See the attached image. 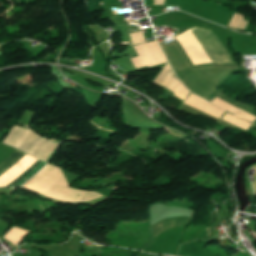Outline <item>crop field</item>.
Wrapping results in <instances>:
<instances>
[{
    "mask_svg": "<svg viewBox=\"0 0 256 256\" xmlns=\"http://www.w3.org/2000/svg\"><path fill=\"white\" fill-rule=\"evenodd\" d=\"M13 227H14V226H13ZM13 227H11V228H13ZM11 228H10V229H11ZM16 228H17V227H16ZM10 229H9V230H10ZM20 229H21V228H20ZM9 230H8V231H9ZM8 231H7V232H8Z\"/></svg>",
    "mask_w": 256,
    "mask_h": 256,
    "instance_id": "obj_10",
    "label": "crop field"
},
{
    "mask_svg": "<svg viewBox=\"0 0 256 256\" xmlns=\"http://www.w3.org/2000/svg\"><path fill=\"white\" fill-rule=\"evenodd\" d=\"M24 153L15 150L11 153L6 159H4L0 163V175L6 171L10 166L14 165L19 159L23 157ZM45 164L40 160H38L35 164H33L27 171H25L20 177L13 180L6 187H17L24 182H26L29 178H31L35 173H37Z\"/></svg>",
    "mask_w": 256,
    "mask_h": 256,
    "instance_id": "obj_4",
    "label": "crop field"
},
{
    "mask_svg": "<svg viewBox=\"0 0 256 256\" xmlns=\"http://www.w3.org/2000/svg\"><path fill=\"white\" fill-rule=\"evenodd\" d=\"M59 144H57V146L55 147V149L53 150V152L51 153V155L49 156V158L47 159V162L49 161V159L52 157V155L54 154V152L56 151V149L58 148Z\"/></svg>",
    "mask_w": 256,
    "mask_h": 256,
    "instance_id": "obj_9",
    "label": "crop field"
},
{
    "mask_svg": "<svg viewBox=\"0 0 256 256\" xmlns=\"http://www.w3.org/2000/svg\"><path fill=\"white\" fill-rule=\"evenodd\" d=\"M164 0H155L154 5H163Z\"/></svg>",
    "mask_w": 256,
    "mask_h": 256,
    "instance_id": "obj_8",
    "label": "crop field"
},
{
    "mask_svg": "<svg viewBox=\"0 0 256 256\" xmlns=\"http://www.w3.org/2000/svg\"><path fill=\"white\" fill-rule=\"evenodd\" d=\"M184 103H186V104H188V105H190L208 115L214 116L219 119H224V120L242 128L246 131H248V129L252 126L251 124H249L247 122L241 121L240 119L217 109L216 107L210 105L208 102H205L203 99L198 98L191 93H189V95L185 99Z\"/></svg>",
    "mask_w": 256,
    "mask_h": 256,
    "instance_id": "obj_3",
    "label": "crop field"
},
{
    "mask_svg": "<svg viewBox=\"0 0 256 256\" xmlns=\"http://www.w3.org/2000/svg\"><path fill=\"white\" fill-rule=\"evenodd\" d=\"M172 73L173 72L167 63L153 83L168 89L174 93V96L183 100L189 91Z\"/></svg>",
    "mask_w": 256,
    "mask_h": 256,
    "instance_id": "obj_5",
    "label": "crop field"
},
{
    "mask_svg": "<svg viewBox=\"0 0 256 256\" xmlns=\"http://www.w3.org/2000/svg\"><path fill=\"white\" fill-rule=\"evenodd\" d=\"M211 103L219 106L220 108H222L224 110H228V111L232 112L233 115L238 116L240 118H243V119H246V120H249V121H252V122L256 119V117H254V116L248 114L247 112H245V111H243L241 109H238V108H236V107H234V106H232V105L222 101L221 99H219L217 97L214 98L211 101Z\"/></svg>",
    "mask_w": 256,
    "mask_h": 256,
    "instance_id": "obj_6",
    "label": "crop field"
},
{
    "mask_svg": "<svg viewBox=\"0 0 256 256\" xmlns=\"http://www.w3.org/2000/svg\"><path fill=\"white\" fill-rule=\"evenodd\" d=\"M4 143L17 149L36 156L44 161L48 158L55 143L44 141L34 135L29 130L14 126Z\"/></svg>",
    "mask_w": 256,
    "mask_h": 256,
    "instance_id": "obj_1",
    "label": "crop field"
},
{
    "mask_svg": "<svg viewBox=\"0 0 256 256\" xmlns=\"http://www.w3.org/2000/svg\"><path fill=\"white\" fill-rule=\"evenodd\" d=\"M244 16L239 14H234L229 26L238 28V29H244L247 22L243 21Z\"/></svg>",
    "mask_w": 256,
    "mask_h": 256,
    "instance_id": "obj_7",
    "label": "crop field"
},
{
    "mask_svg": "<svg viewBox=\"0 0 256 256\" xmlns=\"http://www.w3.org/2000/svg\"><path fill=\"white\" fill-rule=\"evenodd\" d=\"M129 34L132 45L138 55L130 58L135 69L166 63L156 41L144 43L141 31Z\"/></svg>",
    "mask_w": 256,
    "mask_h": 256,
    "instance_id": "obj_2",
    "label": "crop field"
}]
</instances>
